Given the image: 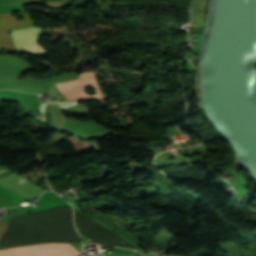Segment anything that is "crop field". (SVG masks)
Masks as SVG:
<instances>
[{
    "label": "crop field",
    "mask_w": 256,
    "mask_h": 256,
    "mask_svg": "<svg viewBox=\"0 0 256 256\" xmlns=\"http://www.w3.org/2000/svg\"><path fill=\"white\" fill-rule=\"evenodd\" d=\"M81 242L74 224L72 207L14 217L0 240V249L45 243ZM69 243H45L0 250V256H76Z\"/></svg>",
    "instance_id": "1"
},
{
    "label": "crop field",
    "mask_w": 256,
    "mask_h": 256,
    "mask_svg": "<svg viewBox=\"0 0 256 256\" xmlns=\"http://www.w3.org/2000/svg\"><path fill=\"white\" fill-rule=\"evenodd\" d=\"M59 90L68 99H89L100 98L102 96L95 81V73H82L79 80L69 81L66 83L56 84ZM91 86L96 89L97 93L90 96L84 92V87Z\"/></svg>",
    "instance_id": "2"
},
{
    "label": "crop field",
    "mask_w": 256,
    "mask_h": 256,
    "mask_svg": "<svg viewBox=\"0 0 256 256\" xmlns=\"http://www.w3.org/2000/svg\"><path fill=\"white\" fill-rule=\"evenodd\" d=\"M40 32L41 29L36 26L11 31L12 37L15 41L16 48L36 44ZM12 37L7 36V33L0 34V48H15Z\"/></svg>",
    "instance_id": "3"
},
{
    "label": "crop field",
    "mask_w": 256,
    "mask_h": 256,
    "mask_svg": "<svg viewBox=\"0 0 256 256\" xmlns=\"http://www.w3.org/2000/svg\"><path fill=\"white\" fill-rule=\"evenodd\" d=\"M23 17L25 20L17 22L16 17L12 16V12L0 13V32L34 25L30 14H23Z\"/></svg>",
    "instance_id": "4"
},
{
    "label": "crop field",
    "mask_w": 256,
    "mask_h": 256,
    "mask_svg": "<svg viewBox=\"0 0 256 256\" xmlns=\"http://www.w3.org/2000/svg\"><path fill=\"white\" fill-rule=\"evenodd\" d=\"M19 51H25V52H30V53H34V54H46V50L41 47V46H28L24 49H20Z\"/></svg>",
    "instance_id": "5"
},
{
    "label": "crop field",
    "mask_w": 256,
    "mask_h": 256,
    "mask_svg": "<svg viewBox=\"0 0 256 256\" xmlns=\"http://www.w3.org/2000/svg\"><path fill=\"white\" fill-rule=\"evenodd\" d=\"M7 226H8V224L0 221V238L3 235V233L5 232Z\"/></svg>",
    "instance_id": "6"
}]
</instances>
